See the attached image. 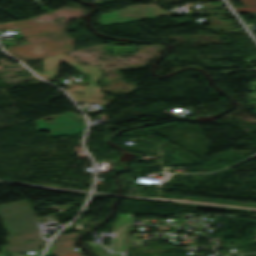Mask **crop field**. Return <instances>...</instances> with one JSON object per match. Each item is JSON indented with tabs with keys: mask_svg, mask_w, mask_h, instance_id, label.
<instances>
[{
	"mask_svg": "<svg viewBox=\"0 0 256 256\" xmlns=\"http://www.w3.org/2000/svg\"><path fill=\"white\" fill-rule=\"evenodd\" d=\"M17 27L30 44L7 46V52L24 62L73 50L72 38L69 39L66 33L67 25H55L54 22L36 23L34 19L0 24V30ZM35 33L44 34L25 37Z\"/></svg>",
	"mask_w": 256,
	"mask_h": 256,
	"instance_id": "8a807250",
	"label": "crop field"
},
{
	"mask_svg": "<svg viewBox=\"0 0 256 256\" xmlns=\"http://www.w3.org/2000/svg\"><path fill=\"white\" fill-rule=\"evenodd\" d=\"M1 223L8 235V245L40 239L33 214L27 201L0 205Z\"/></svg>",
	"mask_w": 256,
	"mask_h": 256,
	"instance_id": "ac0d7876",
	"label": "crop field"
},
{
	"mask_svg": "<svg viewBox=\"0 0 256 256\" xmlns=\"http://www.w3.org/2000/svg\"><path fill=\"white\" fill-rule=\"evenodd\" d=\"M163 15H167L166 11L154 4L136 5L128 6L121 10H114L109 14H101L99 23L100 25L113 24L119 22L135 21L141 18L151 19L153 17H159Z\"/></svg>",
	"mask_w": 256,
	"mask_h": 256,
	"instance_id": "34b2d1b8",
	"label": "crop field"
},
{
	"mask_svg": "<svg viewBox=\"0 0 256 256\" xmlns=\"http://www.w3.org/2000/svg\"><path fill=\"white\" fill-rule=\"evenodd\" d=\"M53 118L51 121L45 119ZM48 130L50 136H65L82 133L85 130L84 120L78 122L66 115H55L44 119L36 120L35 131Z\"/></svg>",
	"mask_w": 256,
	"mask_h": 256,
	"instance_id": "412701ff",
	"label": "crop field"
},
{
	"mask_svg": "<svg viewBox=\"0 0 256 256\" xmlns=\"http://www.w3.org/2000/svg\"><path fill=\"white\" fill-rule=\"evenodd\" d=\"M80 233H72V234H64V235H57L55 237V242H53L52 244H54V248L51 249L52 251V255H59V254H63V253H68V252H72L75 251L73 248H75L73 245L74 244V239L71 240H61V241H56L59 239H68V238H73L76 237L77 235H79Z\"/></svg>",
	"mask_w": 256,
	"mask_h": 256,
	"instance_id": "f4fd0767",
	"label": "crop field"
},
{
	"mask_svg": "<svg viewBox=\"0 0 256 256\" xmlns=\"http://www.w3.org/2000/svg\"><path fill=\"white\" fill-rule=\"evenodd\" d=\"M29 243H31V245H28L27 242H24V243L8 246L9 252L20 251L21 253H24L25 250L33 249L37 252V255L35 256H39L41 251L38 250V245L45 244V241H42L40 239V240H37V242L30 241Z\"/></svg>",
	"mask_w": 256,
	"mask_h": 256,
	"instance_id": "dd49c442",
	"label": "crop field"
},
{
	"mask_svg": "<svg viewBox=\"0 0 256 256\" xmlns=\"http://www.w3.org/2000/svg\"><path fill=\"white\" fill-rule=\"evenodd\" d=\"M236 12H256V6L236 9Z\"/></svg>",
	"mask_w": 256,
	"mask_h": 256,
	"instance_id": "e52e79f7",
	"label": "crop field"
},
{
	"mask_svg": "<svg viewBox=\"0 0 256 256\" xmlns=\"http://www.w3.org/2000/svg\"><path fill=\"white\" fill-rule=\"evenodd\" d=\"M63 114H66V115H69L71 117H73L74 119L80 121V120H83L82 116L72 112V111H69V112H66V113H63Z\"/></svg>",
	"mask_w": 256,
	"mask_h": 256,
	"instance_id": "d8731c3e",
	"label": "crop field"
},
{
	"mask_svg": "<svg viewBox=\"0 0 256 256\" xmlns=\"http://www.w3.org/2000/svg\"><path fill=\"white\" fill-rule=\"evenodd\" d=\"M243 6L256 4V0H240Z\"/></svg>",
	"mask_w": 256,
	"mask_h": 256,
	"instance_id": "5a996713",
	"label": "crop field"
},
{
	"mask_svg": "<svg viewBox=\"0 0 256 256\" xmlns=\"http://www.w3.org/2000/svg\"><path fill=\"white\" fill-rule=\"evenodd\" d=\"M60 256H83V254H82V251H78V252H73L70 254L60 255Z\"/></svg>",
	"mask_w": 256,
	"mask_h": 256,
	"instance_id": "3316defc",
	"label": "crop field"
},
{
	"mask_svg": "<svg viewBox=\"0 0 256 256\" xmlns=\"http://www.w3.org/2000/svg\"><path fill=\"white\" fill-rule=\"evenodd\" d=\"M248 14H250L252 17L256 19V13H248Z\"/></svg>",
	"mask_w": 256,
	"mask_h": 256,
	"instance_id": "28ad6ade",
	"label": "crop field"
}]
</instances>
